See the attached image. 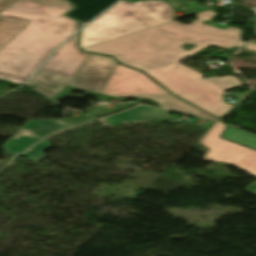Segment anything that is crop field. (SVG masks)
<instances>
[{
  "label": "crop field",
  "mask_w": 256,
  "mask_h": 256,
  "mask_svg": "<svg viewBox=\"0 0 256 256\" xmlns=\"http://www.w3.org/2000/svg\"><path fill=\"white\" fill-rule=\"evenodd\" d=\"M173 8L163 1H121L82 30L80 45L89 47L171 21Z\"/></svg>",
  "instance_id": "crop-field-3"
},
{
  "label": "crop field",
  "mask_w": 256,
  "mask_h": 256,
  "mask_svg": "<svg viewBox=\"0 0 256 256\" xmlns=\"http://www.w3.org/2000/svg\"><path fill=\"white\" fill-rule=\"evenodd\" d=\"M77 36L78 33L55 51L56 54L51 56L41 69L73 77L88 56V54L78 50Z\"/></svg>",
  "instance_id": "crop-field-7"
},
{
  "label": "crop field",
  "mask_w": 256,
  "mask_h": 256,
  "mask_svg": "<svg viewBox=\"0 0 256 256\" xmlns=\"http://www.w3.org/2000/svg\"><path fill=\"white\" fill-rule=\"evenodd\" d=\"M169 111L140 106L116 115L102 118L99 121L106 126H114L123 123L153 121Z\"/></svg>",
  "instance_id": "crop-field-10"
},
{
  "label": "crop field",
  "mask_w": 256,
  "mask_h": 256,
  "mask_svg": "<svg viewBox=\"0 0 256 256\" xmlns=\"http://www.w3.org/2000/svg\"><path fill=\"white\" fill-rule=\"evenodd\" d=\"M19 0H0V12L9 8ZM42 4L71 5L65 0H31ZM27 21L0 18V49L13 39L25 26Z\"/></svg>",
  "instance_id": "crop-field-9"
},
{
  "label": "crop field",
  "mask_w": 256,
  "mask_h": 256,
  "mask_svg": "<svg viewBox=\"0 0 256 256\" xmlns=\"http://www.w3.org/2000/svg\"><path fill=\"white\" fill-rule=\"evenodd\" d=\"M224 128L225 125L217 121L203 137L201 144L210 149L203 159L227 162L256 176V150L219 138ZM246 191L256 195V183Z\"/></svg>",
  "instance_id": "crop-field-5"
},
{
  "label": "crop field",
  "mask_w": 256,
  "mask_h": 256,
  "mask_svg": "<svg viewBox=\"0 0 256 256\" xmlns=\"http://www.w3.org/2000/svg\"><path fill=\"white\" fill-rule=\"evenodd\" d=\"M135 103H128V104H117L114 105V107L108 109L105 107H101V106H95V107H91L87 109V115H92L95 118L97 117H101L110 113H113L115 111L130 107L132 105H134Z\"/></svg>",
  "instance_id": "crop-field-15"
},
{
  "label": "crop field",
  "mask_w": 256,
  "mask_h": 256,
  "mask_svg": "<svg viewBox=\"0 0 256 256\" xmlns=\"http://www.w3.org/2000/svg\"><path fill=\"white\" fill-rule=\"evenodd\" d=\"M115 64L111 57L89 54L74 78L39 69L29 83L52 98L67 85L100 93Z\"/></svg>",
  "instance_id": "crop-field-4"
},
{
  "label": "crop field",
  "mask_w": 256,
  "mask_h": 256,
  "mask_svg": "<svg viewBox=\"0 0 256 256\" xmlns=\"http://www.w3.org/2000/svg\"><path fill=\"white\" fill-rule=\"evenodd\" d=\"M163 91L141 72L116 64L101 93L114 97L148 98Z\"/></svg>",
  "instance_id": "crop-field-6"
},
{
  "label": "crop field",
  "mask_w": 256,
  "mask_h": 256,
  "mask_svg": "<svg viewBox=\"0 0 256 256\" xmlns=\"http://www.w3.org/2000/svg\"><path fill=\"white\" fill-rule=\"evenodd\" d=\"M69 125L72 124L58 119L48 121L29 120L17 133L23 137L16 140L11 139L3 145V148L6 152L18 153L45 135Z\"/></svg>",
  "instance_id": "crop-field-8"
},
{
  "label": "crop field",
  "mask_w": 256,
  "mask_h": 256,
  "mask_svg": "<svg viewBox=\"0 0 256 256\" xmlns=\"http://www.w3.org/2000/svg\"><path fill=\"white\" fill-rule=\"evenodd\" d=\"M72 8L21 0L1 12L0 17L30 22L0 50V79L26 82L48 55L78 30L75 21L63 16Z\"/></svg>",
  "instance_id": "crop-field-2"
},
{
  "label": "crop field",
  "mask_w": 256,
  "mask_h": 256,
  "mask_svg": "<svg viewBox=\"0 0 256 256\" xmlns=\"http://www.w3.org/2000/svg\"><path fill=\"white\" fill-rule=\"evenodd\" d=\"M167 92L162 93L157 96H154L149 99H152V100L156 101L158 104H160L162 109L184 112V113L196 115L198 117L208 119V120L215 119L214 117H212V116L204 113L203 111L193 107L192 105L170 95L171 93L169 94Z\"/></svg>",
  "instance_id": "crop-field-12"
},
{
  "label": "crop field",
  "mask_w": 256,
  "mask_h": 256,
  "mask_svg": "<svg viewBox=\"0 0 256 256\" xmlns=\"http://www.w3.org/2000/svg\"><path fill=\"white\" fill-rule=\"evenodd\" d=\"M245 48H246V49H249V50L256 51V45H255V44L249 43V44H247V45L245 46Z\"/></svg>",
  "instance_id": "crop-field-18"
},
{
  "label": "crop field",
  "mask_w": 256,
  "mask_h": 256,
  "mask_svg": "<svg viewBox=\"0 0 256 256\" xmlns=\"http://www.w3.org/2000/svg\"><path fill=\"white\" fill-rule=\"evenodd\" d=\"M222 137L256 149V135L228 126Z\"/></svg>",
  "instance_id": "crop-field-13"
},
{
  "label": "crop field",
  "mask_w": 256,
  "mask_h": 256,
  "mask_svg": "<svg viewBox=\"0 0 256 256\" xmlns=\"http://www.w3.org/2000/svg\"><path fill=\"white\" fill-rule=\"evenodd\" d=\"M50 147L53 146L47 139H45L42 142L35 145L34 147H32L31 149H29L27 152H25L24 155H26L31 161L38 162L44 157H46V155L43 153L44 149Z\"/></svg>",
  "instance_id": "crop-field-14"
},
{
  "label": "crop field",
  "mask_w": 256,
  "mask_h": 256,
  "mask_svg": "<svg viewBox=\"0 0 256 256\" xmlns=\"http://www.w3.org/2000/svg\"><path fill=\"white\" fill-rule=\"evenodd\" d=\"M88 119H92V118H89L86 115H83V116H78V117H74V118H63L61 120L67 121V122L72 123V124H75V123L83 122V121L88 120Z\"/></svg>",
  "instance_id": "crop-field-17"
},
{
  "label": "crop field",
  "mask_w": 256,
  "mask_h": 256,
  "mask_svg": "<svg viewBox=\"0 0 256 256\" xmlns=\"http://www.w3.org/2000/svg\"><path fill=\"white\" fill-rule=\"evenodd\" d=\"M197 15L198 20L189 25L173 21L83 50L115 56L120 63L146 72L178 97L219 117L232 108L222 99L223 89L241 85L239 79L227 76L203 80V75L176 62L210 45L228 49L245 42L239 29L228 27L224 31L201 24L215 13ZM183 43L197 46L186 52L181 48Z\"/></svg>",
  "instance_id": "crop-field-1"
},
{
  "label": "crop field",
  "mask_w": 256,
  "mask_h": 256,
  "mask_svg": "<svg viewBox=\"0 0 256 256\" xmlns=\"http://www.w3.org/2000/svg\"><path fill=\"white\" fill-rule=\"evenodd\" d=\"M18 137H21V136L15 135V137H14L13 139H16V138H18Z\"/></svg>",
  "instance_id": "crop-field-19"
},
{
  "label": "crop field",
  "mask_w": 256,
  "mask_h": 256,
  "mask_svg": "<svg viewBox=\"0 0 256 256\" xmlns=\"http://www.w3.org/2000/svg\"><path fill=\"white\" fill-rule=\"evenodd\" d=\"M76 9L67 15L85 23L89 22L116 0H69Z\"/></svg>",
  "instance_id": "crop-field-11"
},
{
  "label": "crop field",
  "mask_w": 256,
  "mask_h": 256,
  "mask_svg": "<svg viewBox=\"0 0 256 256\" xmlns=\"http://www.w3.org/2000/svg\"><path fill=\"white\" fill-rule=\"evenodd\" d=\"M73 89L82 90V89H78V88H74V87L67 86L65 89H63V90H62L57 96H55L53 99L57 101L59 98L64 97V96L83 97V96H78V95H68ZM82 91L87 92L88 95H92V96L99 97L98 100L110 98V99L119 101L118 98H114V97H112V96L103 95V94H98V93H94V92H90V91H86V90H82Z\"/></svg>",
  "instance_id": "crop-field-16"
}]
</instances>
